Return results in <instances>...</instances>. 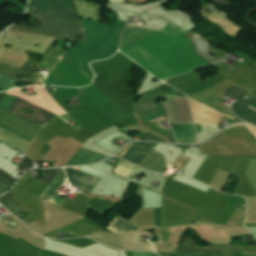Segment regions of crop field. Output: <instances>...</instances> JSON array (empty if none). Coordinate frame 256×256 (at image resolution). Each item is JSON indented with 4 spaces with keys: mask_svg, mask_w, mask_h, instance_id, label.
Returning <instances> with one entry per match:
<instances>
[{
    "mask_svg": "<svg viewBox=\"0 0 256 256\" xmlns=\"http://www.w3.org/2000/svg\"><path fill=\"white\" fill-rule=\"evenodd\" d=\"M30 6L42 8L43 11V14L32 12L33 15L81 21L74 0H53L52 2L30 0Z\"/></svg>",
    "mask_w": 256,
    "mask_h": 256,
    "instance_id": "obj_4",
    "label": "crop field"
},
{
    "mask_svg": "<svg viewBox=\"0 0 256 256\" xmlns=\"http://www.w3.org/2000/svg\"><path fill=\"white\" fill-rule=\"evenodd\" d=\"M154 147H144L138 145H132L121 158L135 164L140 165L142 161L149 155Z\"/></svg>",
    "mask_w": 256,
    "mask_h": 256,
    "instance_id": "obj_11",
    "label": "crop field"
},
{
    "mask_svg": "<svg viewBox=\"0 0 256 256\" xmlns=\"http://www.w3.org/2000/svg\"><path fill=\"white\" fill-rule=\"evenodd\" d=\"M252 107L256 108V105H254V106H252ZM252 107H251V108H252ZM254 108H253V109H254ZM255 110H256V109H255Z\"/></svg>",
    "mask_w": 256,
    "mask_h": 256,
    "instance_id": "obj_35",
    "label": "crop field"
},
{
    "mask_svg": "<svg viewBox=\"0 0 256 256\" xmlns=\"http://www.w3.org/2000/svg\"><path fill=\"white\" fill-rule=\"evenodd\" d=\"M134 256H159L155 253H146V252H132Z\"/></svg>",
    "mask_w": 256,
    "mask_h": 256,
    "instance_id": "obj_30",
    "label": "crop field"
},
{
    "mask_svg": "<svg viewBox=\"0 0 256 256\" xmlns=\"http://www.w3.org/2000/svg\"><path fill=\"white\" fill-rule=\"evenodd\" d=\"M24 107L34 110L35 115L28 116V115H25L24 113L20 112L19 109H22ZM10 109L14 111L13 113H15L25 119H28L42 127H44L50 120H52L56 116L55 114L48 112L44 109H41V108L21 99L19 97Z\"/></svg>",
    "mask_w": 256,
    "mask_h": 256,
    "instance_id": "obj_6",
    "label": "crop field"
},
{
    "mask_svg": "<svg viewBox=\"0 0 256 256\" xmlns=\"http://www.w3.org/2000/svg\"><path fill=\"white\" fill-rule=\"evenodd\" d=\"M12 185L6 182L4 179L0 177V189L4 192L8 190Z\"/></svg>",
    "mask_w": 256,
    "mask_h": 256,
    "instance_id": "obj_28",
    "label": "crop field"
},
{
    "mask_svg": "<svg viewBox=\"0 0 256 256\" xmlns=\"http://www.w3.org/2000/svg\"><path fill=\"white\" fill-rule=\"evenodd\" d=\"M16 81H13L3 75H0V86L9 89Z\"/></svg>",
    "mask_w": 256,
    "mask_h": 256,
    "instance_id": "obj_26",
    "label": "crop field"
},
{
    "mask_svg": "<svg viewBox=\"0 0 256 256\" xmlns=\"http://www.w3.org/2000/svg\"><path fill=\"white\" fill-rule=\"evenodd\" d=\"M161 97H164V96L163 95H159V96H155V97H151V98L142 99L140 101V103L137 104V109H138L139 113L143 117H145L147 115H150V114H153L155 112L160 111L161 108L158 107V105L156 104L155 100L157 98H161ZM162 118L156 119L154 121L160 120ZM154 121H151V122H154Z\"/></svg>",
    "mask_w": 256,
    "mask_h": 256,
    "instance_id": "obj_17",
    "label": "crop field"
},
{
    "mask_svg": "<svg viewBox=\"0 0 256 256\" xmlns=\"http://www.w3.org/2000/svg\"><path fill=\"white\" fill-rule=\"evenodd\" d=\"M157 32L155 31H143V30H131V29H125L123 35H122V41H121V48L130 45L134 42H137L143 38H146L150 35H153Z\"/></svg>",
    "mask_w": 256,
    "mask_h": 256,
    "instance_id": "obj_16",
    "label": "crop field"
},
{
    "mask_svg": "<svg viewBox=\"0 0 256 256\" xmlns=\"http://www.w3.org/2000/svg\"><path fill=\"white\" fill-rule=\"evenodd\" d=\"M108 229H110L114 232H119V233H128V232L140 230L133 223H131L121 217L115 219L114 222L110 225V227Z\"/></svg>",
    "mask_w": 256,
    "mask_h": 256,
    "instance_id": "obj_18",
    "label": "crop field"
},
{
    "mask_svg": "<svg viewBox=\"0 0 256 256\" xmlns=\"http://www.w3.org/2000/svg\"><path fill=\"white\" fill-rule=\"evenodd\" d=\"M205 18L211 21H214L216 23H219L224 28V30L230 35H232L233 37H236L241 32H243L239 26L231 23L228 17L222 13L215 12Z\"/></svg>",
    "mask_w": 256,
    "mask_h": 256,
    "instance_id": "obj_14",
    "label": "crop field"
},
{
    "mask_svg": "<svg viewBox=\"0 0 256 256\" xmlns=\"http://www.w3.org/2000/svg\"><path fill=\"white\" fill-rule=\"evenodd\" d=\"M66 178L64 174V170L62 169L61 172L58 174V176L55 178V180L52 182V184L47 188V190L39 197V199H43L55 206H59L62 202L65 200L60 198L58 195H56L54 192L58 188V186L63 182V180Z\"/></svg>",
    "mask_w": 256,
    "mask_h": 256,
    "instance_id": "obj_10",
    "label": "crop field"
},
{
    "mask_svg": "<svg viewBox=\"0 0 256 256\" xmlns=\"http://www.w3.org/2000/svg\"><path fill=\"white\" fill-rule=\"evenodd\" d=\"M121 164H124V165H126V166H129V167H131V168H133V169H135V170L139 169V167H136V166H134V165H132V164L126 162V161H125V162H122V161H121Z\"/></svg>",
    "mask_w": 256,
    "mask_h": 256,
    "instance_id": "obj_32",
    "label": "crop field"
},
{
    "mask_svg": "<svg viewBox=\"0 0 256 256\" xmlns=\"http://www.w3.org/2000/svg\"><path fill=\"white\" fill-rule=\"evenodd\" d=\"M28 158H29V157H28ZM28 158L24 157L23 160H22V162H21V164H20V166H19V168H18V171H19V174H20V175H21V173H22L23 171H25L26 169L33 167V160L28 159ZM27 160H30L31 163H28Z\"/></svg>",
    "mask_w": 256,
    "mask_h": 256,
    "instance_id": "obj_25",
    "label": "crop field"
},
{
    "mask_svg": "<svg viewBox=\"0 0 256 256\" xmlns=\"http://www.w3.org/2000/svg\"><path fill=\"white\" fill-rule=\"evenodd\" d=\"M61 169H50V170H46L44 175L41 177V179L39 180V182L44 183L46 185L49 186V184L51 183V181L54 179V177L56 176V174L60 171Z\"/></svg>",
    "mask_w": 256,
    "mask_h": 256,
    "instance_id": "obj_23",
    "label": "crop field"
},
{
    "mask_svg": "<svg viewBox=\"0 0 256 256\" xmlns=\"http://www.w3.org/2000/svg\"><path fill=\"white\" fill-rule=\"evenodd\" d=\"M0 202L16 216L25 211L10 192L1 197Z\"/></svg>",
    "mask_w": 256,
    "mask_h": 256,
    "instance_id": "obj_20",
    "label": "crop field"
},
{
    "mask_svg": "<svg viewBox=\"0 0 256 256\" xmlns=\"http://www.w3.org/2000/svg\"><path fill=\"white\" fill-rule=\"evenodd\" d=\"M174 133L177 140L181 142H193L196 138L194 124L179 126V130Z\"/></svg>",
    "mask_w": 256,
    "mask_h": 256,
    "instance_id": "obj_19",
    "label": "crop field"
},
{
    "mask_svg": "<svg viewBox=\"0 0 256 256\" xmlns=\"http://www.w3.org/2000/svg\"><path fill=\"white\" fill-rule=\"evenodd\" d=\"M20 92V89H14V90H10V91H7L5 94H8V95H16V96H19L41 108H44L48 111H51L53 112L48 106L47 104L39 97V96H27V95H23ZM54 113V112H53Z\"/></svg>",
    "mask_w": 256,
    "mask_h": 256,
    "instance_id": "obj_21",
    "label": "crop field"
},
{
    "mask_svg": "<svg viewBox=\"0 0 256 256\" xmlns=\"http://www.w3.org/2000/svg\"><path fill=\"white\" fill-rule=\"evenodd\" d=\"M42 23L43 26H36L33 29L23 28L19 25L11 27V30H21L25 32L35 33L39 35L64 38L69 40H75V34L80 32L83 35V40L86 39L85 30L81 22L57 20L45 17L36 16ZM82 40V41H83Z\"/></svg>",
    "mask_w": 256,
    "mask_h": 256,
    "instance_id": "obj_3",
    "label": "crop field"
},
{
    "mask_svg": "<svg viewBox=\"0 0 256 256\" xmlns=\"http://www.w3.org/2000/svg\"><path fill=\"white\" fill-rule=\"evenodd\" d=\"M240 125H243V124L233 125L232 127H234V126H240ZM245 126H246V127L254 134V136L256 137V128L253 127V126H250V125H245ZM232 127L228 128V130L231 129Z\"/></svg>",
    "mask_w": 256,
    "mask_h": 256,
    "instance_id": "obj_31",
    "label": "crop field"
},
{
    "mask_svg": "<svg viewBox=\"0 0 256 256\" xmlns=\"http://www.w3.org/2000/svg\"><path fill=\"white\" fill-rule=\"evenodd\" d=\"M40 96H42L45 101L50 105V107L58 114H66V112L58 105V103L52 98V96L44 89H36Z\"/></svg>",
    "mask_w": 256,
    "mask_h": 256,
    "instance_id": "obj_22",
    "label": "crop field"
},
{
    "mask_svg": "<svg viewBox=\"0 0 256 256\" xmlns=\"http://www.w3.org/2000/svg\"><path fill=\"white\" fill-rule=\"evenodd\" d=\"M27 87H43V85H32V86H27Z\"/></svg>",
    "mask_w": 256,
    "mask_h": 256,
    "instance_id": "obj_34",
    "label": "crop field"
},
{
    "mask_svg": "<svg viewBox=\"0 0 256 256\" xmlns=\"http://www.w3.org/2000/svg\"><path fill=\"white\" fill-rule=\"evenodd\" d=\"M0 176L2 178H4L5 180H7L9 183H11L13 185V183L15 182V178H13L11 175H9L7 172L3 171L0 169Z\"/></svg>",
    "mask_w": 256,
    "mask_h": 256,
    "instance_id": "obj_27",
    "label": "crop field"
},
{
    "mask_svg": "<svg viewBox=\"0 0 256 256\" xmlns=\"http://www.w3.org/2000/svg\"><path fill=\"white\" fill-rule=\"evenodd\" d=\"M246 93H248V92L233 86L225 92V95H228V96L236 99V98H238V97H240V96H242ZM236 100H238V99H236Z\"/></svg>",
    "mask_w": 256,
    "mask_h": 256,
    "instance_id": "obj_24",
    "label": "crop field"
},
{
    "mask_svg": "<svg viewBox=\"0 0 256 256\" xmlns=\"http://www.w3.org/2000/svg\"><path fill=\"white\" fill-rule=\"evenodd\" d=\"M81 20L86 30L87 39L62 60L92 81L94 74L88 64L95 60L110 58L115 54L118 50L120 35L126 23L118 21L111 36H108L106 34L112 26L95 21Z\"/></svg>",
    "mask_w": 256,
    "mask_h": 256,
    "instance_id": "obj_2",
    "label": "crop field"
},
{
    "mask_svg": "<svg viewBox=\"0 0 256 256\" xmlns=\"http://www.w3.org/2000/svg\"><path fill=\"white\" fill-rule=\"evenodd\" d=\"M65 171L70 183L91 192L101 180L95 176L89 175L76 169L65 168Z\"/></svg>",
    "mask_w": 256,
    "mask_h": 256,
    "instance_id": "obj_8",
    "label": "crop field"
},
{
    "mask_svg": "<svg viewBox=\"0 0 256 256\" xmlns=\"http://www.w3.org/2000/svg\"><path fill=\"white\" fill-rule=\"evenodd\" d=\"M115 171L118 172V173L124 174L126 176H128V175H130L132 173V172H130V171H128V170L118 166V165H117Z\"/></svg>",
    "mask_w": 256,
    "mask_h": 256,
    "instance_id": "obj_29",
    "label": "crop field"
},
{
    "mask_svg": "<svg viewBox=\"0 0 256 256\" xmlns=\"http://www.w3.org/2000/svg\"><path fill=\"white\" fill-rule=\"evenodd\" d=\"M76 4L81 17L100 21L101 6L83 1H76Z\"/></svg>",
    "mask_w": 256,
    "mask_h": 256,
    "instance_id": "obj_13",
    "label": "crop field"
},
{
    "mask_svg": "<svg viewBox=\"0 0 256 256\" xmlns=\"http://www.w3.org/2000/svg\"><path fill=\"white\" fill-rule=\"evenodd\" d=\"M120 51L163 81L209 65L196 55L190 40L162 32Z\"/></svg>",
    "mask_w": 256,
    "mask_h": 256,
    "instance_id": "obj_1",
    "label": "crop field"
},
{
    "mask_svg": "<svg viewBox=\"0 0 256 256\" xmlns=\"http://www.w3.org/2000/svg\"><path fill=\"white\" fill-rule=\"evenodd\" d=\"M0 141L6 143L14 150H18L19 152L23 153L26 151L28 146L30 145V142L15 136L3 129L0 128Z\"/></svg>",
    "mask_w": 256,
    "mask_h": 256,
    "instance_id": "obj_12",
    "label": "crop field"
},
{
    "mask_svg": "<svg viewBox=\"0 0 256 256\" xmlns=\"http://www.w3.org/2000/svg\"><path fill=\"white\" fill-rule=\"evenodd\" d=\"M3 193L1 190H0V194Z\"/></svg>",
    "mask_w": 256,
    "mask_h": 256,
    "instance_id": "obj_36",
    "label": "crop field"
},
{
    "mask_svg": "<svg viewBox=\"0 0 256 256\" xmlns=\"http://www.w3.org/2000/svg\"><path fill=\"white\" fill-rule=\"evenodd\" d=\"M188 256H213V254H188Z\"/></svg>",
    "mask_w": 256,
    "mask_h": 256,
    "instance_id": "obj_33",
    "label": "crop field"
},
{
    "mask_svg": "<svg viewBox=\"0 0 256 256\" xmlns=\"http://www.w3.org/2000/svg\"><path fill=\"white\" fill-rule=\"evenodd\" d=\"M184 237V236H183ZM239 249L233 246L212 245L208 248L197 247L193 238L184 237L176 252H193V253H214V256H238ZM239 256H256L245 251H240Z\"/></svg>",
    "mask_w": 256,
    "mask_h": 256,
    "instance_id": "obj_5",
    "label": "crop field"
},
{
    "mask_svg": "<svg viewBox=\"0 0 256 256\" xmlns=\"http://www.w3.org/2000/svg\"><path fill=\"white\" fill-rule=\"evenodd\" d=\"M80 152H84V153H88V154H92V155H96V156H100V157H104L107 158L109 156H105L99 153H95L86 149H82L80 148L79 150ZM103 158H99V157H95V156H91V155H87V154H83V153H79L77 152L75 154V156L68 162V164L66 166H70V165H81V164H89V163H93L99 160H102Z\"/></svg>",
    "mask_w": 256,
    "mask_h": 256,
    "instance_id": "obj_15",
    "label": "crop field"
},
{
    "mask_svg": "<svg viewBox=\"0 0 256 256\" xmlns=\"http://www.w3.org/2000/svg\"><path fill=\"white\" fill-rule=\"evenodd\" d=\"M254 103H256V97L246 102L239 100L233 103L231 109L235 112L237 117L254 124L256 123V111L248 108V106Z\"/></svg>",
    "mask_w": 256,
    "mask_h": 256,
    "instance_id": "obj_9",
    "label": "crop field"
},
{
    "mask_svg": "<svg viewBox=\"0 0 256 256\" xmlns=\"http://www.w3.org/2000/svg\"><path fill=\"white\" fill-rule=\"evenodd\" d=\"M190 104L193 112L195 122L209 123L218 125L223 116L231 117L223 114L197 100L190 98ZM233 118V117H231Z\"/></svg>",
    "mask_w": 256,
    "mask_h": 256,
    "instance_id": "obj_7",
    "label": "crop field"
}]
</instances>
